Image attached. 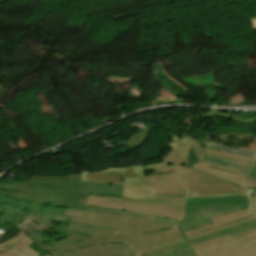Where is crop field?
Listing matches in <instances>:
<instances>
[{
  "label": "crop field",
  "instance_id": "crop-field-1",
  "mask_svg": "<svg viewBox=\"0 0 256 256\" xmlns=\"http://www.w3.org/2000/svg\"><path fill=\"white\" fill-rule=\"evenodd\" d=\"M72 216L67 233L55 242L39 243L44 250L123 241L134 256L185 241L178 227L121 215L65 208Z\"/></svg>",
  "mask_w": 256,
  "mask_h": 256
},
{
  "label": "crop field",
  "instance_id": "crop-field-2",
  "mask_svg": "<svg viewBox=\"0 0 256 256\" xmlns=\"http://www.w3.org/2000/svg\"><path fill=\"white\" fill-rule=\"evenodd\" d=\"M122 187L123 186L85 183V182H77V181H70V180H40V181H33L31 183V190L56 192L53 204L48 203L47 205L109 212V213L148 219V220L171 224L175 226L179 225L180 223L179 221L162 219V218L141 215V214L126 212V211L101 209L97 207L85 206L88 194L120 197Z\"/></svg>",
  "mask_w": 256,
  "mask_h": 256
},
{
  "label": "crop field",
  "instance_id": "crop-field-3",
  "mask_svg": "<svg viewBox=\"0 0 256 256\" xmlns=\"http://www.w3.org/2000/svg\"><path fill=\"white\" fill-rule=\"evenodd\" d=\"M79 173L81 181L124 185L121 197L154 202L155 188L147 179L142 165L102 168Z\"/></svg>",
  "mask_w": 256,
  "mask_h": 256
},
{
  "label": "crop field",
  "instance_id": "crop-field-4",
  "mask_svg": "<svg viewBox=\"0 0 256 256\" xmlns=\"http://www.w3.org/2000/svg\"><path fill=\"white\" fill-rule=\"evenodd\" d=\"M185 200L184 197L155 195V203H149L124 198L89 195L86 205L126 210L182 221L185 218Z\"/></svg>",
  "mask_w": 256,
  "mask_h": 256
},
{
  "label": "crop field",
  "instance_id": "crop-field-5",
  "mask_svg": "<svg viewBox=\"0 0 256 256\" xmlns=\"http://www.w3.org/2000/svg\"><path fill=\"white\" fill-rule=\"evenodd\" d=\"M248 206L247 195L187 198L186 218L178 227L183 232L208 225L210 224L208 217L247 208Z\"/></svg>",
  "mask_w": 256,
  "mask_h": 256
},
{
  "label": "crop field",
  "instance_id": "crop-field-6",
  "mask_svg": "<svg viewBox=\"0 0 256 256\" xmlns=\"http://www.w3.org/2000/svg\"><path fill=\"white\" fill-rule=\"evenodd\" d=\"M190 247L196 256H256V228L230 238L225 235Z\"/></svg>",
  "mask_w": 256,
  "mask_h": 256
},
{
  "label": "crop field",
  "instance_id": "crop-field-7",
  "mask_svg": "<svg viewBox=\"0 0 256 256\" xmlns=\"http://www.w3.org/2000/svg\"><path fill=\"white\" fill-rule=\"evenodd\" d=\"M60 210L45 208L41 213L37 212L27 216L15 224L19 226L35 243L59 240L70 236L65 234L67 226L63 219L67 216H59Z\"/></svg>",
  "mask_w": 256,
  "mask_h": 256
},
{
  "label": "crop field",
  "instance_id": "crop-field-8",
  "mask_svg": "<svg viewBox=\"0 0 256 256\" xmlns=\"http://www.w3.org/2000/svg\"><path fill=\"white\" fill-rule=\"evenodd\" d=\"M193 138L172 132L166 152L158 159L143 163L146 174L170 172L187 166Z\"/></svg>",
  "mask_w": 256,
  "mask_h": 256
},
{
  "label": "crop field",
  "instance_id": "crop-field-9",
  "mask_svg": "<svg viewBox=\"0 0 256 256\" xmlns=\"http://www.w3.org/2000/svg\"><path fill=\"white\" fill-rule=\"evenodd\" d=\"M184 184L186 196L244 194V190L188 169L179 172Z\"/></svg>",
  "mask_w": 256,
  "mask_h": 256
},
{
  "label": "crop field",
  "instance_id": "crop-field-10",
  "mask_svg": "<svg viewBox=\"0 0 256 256\" xmlns=\"http://www.w3.org/2000/svg\"><path fill=\"white\" fill-rule=\"evenodd\" d=\"M256 218L254 213L248 209L239 210L233 213L216 216L209 218L211 221V225L203 226L200 228H196L190 231L183 232L182 234L186 238V240L195 238L201 235H205L211 232H215L251 219Z\"/></svg>",
  "mask_w": 256,
  "mask_h": 256
},
{
  "label": "crop field",
  "instance_id": "crop-field-11",
  "mask_svg": "<svg viewBox=\"0 0 256 256\" xmlns=\"http://www.w3.org/2000/svg\"><path fill=\"white\" fill-rule=\"evenodd\" d=\"M40 179H70V180H77L80 181L79 175H72V176H59V177H47V178H40L36 175L32 176V180L19 185L18 183L5 186L3 185L4 189H9L10 193L2 192L0 190V194L7 195L23 200H27L33 203H46V202H53L54 194L50 192H37V191H30V183L33 180H40Z\"/></svg>",
  "mask_w": 256,
  "mask_h": 256
},
{
  "label": "crop field",
  "instance_id": "crop-field-12",
  "mask_svg": "<svg viewBox=\"0 0 256 256\" xmlns=\"http://www.w3.org/2000/svg\"><path fill=\"white\" fill-rule=\"evenodd\" d=\"M48 254L51 256H132L122 242L98 246L50 250Z\"/></svg>",
  "mask_w": 256,
  "mask_h": 256
},
{
  "label": "crop field",
  "instance_id": "crop-field-13",
  "mask_svg": "<svg viewBox=\"0 0 256 256\" xmlns=\"http://www.w3.org/2000/svg\"><path fill=\"white\" fill-rule=\"evenodd\" d=\"M156 188L155 194L166 196H185L184 184L177 171L148 175Z\"/></svg>",
  "mask_w": 256,
  "mask_h": 256
},
{
  "label": "crop field",
  "instance_id": "crop-field-14",
  "mask_svg": "<svg viewBox=\"0 0 256 256\" xmlns=\"http://www.w3.org/2000/svg\"><path fill=\"white\" fill-rule=\"evenodd\" d=\"M0 202L3 204L1 209L8 210L5 217L6 222H15L24 216L37 212L42 208V205H37L2 195H0Z\"/></svg>",
  "mask_w": 256,
  "mask_h": 256
},
{
  "label": "crop field",
  "instance_id": "crop-field-15",
  "mask_svg": "<svg viewBox=\"0 0 256 256\" xmlns=\"http://www.w3.org/2000/svg\"><path fill=\"white\" fill-rule=\"evenodd\" d=\"M192 148L194 149L192 151L193 154L198 159V161H200L199 164H193L192 165L193 168L201 170V171H203L205 173H208V174H210L212 176H215L217 178H220L222 180H225L227 182H230L232 184H235L237 186L242 187V181L244 179V176H240V175H237V174H232V173L224 172V171L218 170L216 168L206 167V166L201 165L202 160L204 159V157L206 155H205L204 151L201 149L198 141L195 140V139L193 141Z\"/></svg>",
  "mask_w": 256,
  "mask_h": 256
},
{
  "label": "crop field",
  "instance_id": "crop-field-16",
  "mask_svg": "<svg viewBox=\"0 0 256 256\" xmlns=\"http://www.w3.org/2000/svg\"><path fill=\"white\" fill-rule=\"evenodd\" d=\"M235 136L241 145L239 149L256 152V134L239 135V134H214L206 133L204 141L212 142L221 146L227 145L229 136Z\"/></svg>",
  "mask_w": 256,
  "mask_h": 256
},
{
  "label": "crop field",
  "instance_id": "crop-field-17",
  "mask_svg": "<svg viewBox=\"0 0 256 256\" xmlns=\"http://www.w3.org/2000/svg\"><path fill=\"white\" fill-rule=\"evenodd\" d=\"M255 227H256V219L245 222V223H242V224H239V225H236V226H233V227H230V228H227V229H224V230H221V231H218V232H215V233H211V234H208V235H205V236H201V237H198V238H195V239L188 240V243H189V245H191V244H194V243H197V242H201V241L211 239V238H214V237H218V236H221V235H225V234H227L228 237H230V236H233L235 234L244 232L246 230H249V229H252V228H255Z\"/></svg>",
  "mask_w": 256,
  "mask_h": 256
},
{
  "label": "crop field",
  "instance_id": "crop-field-18",
  "mask_svg": "<svg viewBox=\"0 0 256 256\" xmlns=\"http://www.w3.org/2000/svg\"><path fill=\"white\" fill-rule=\"evenodd\" d=\"M33 240L27 236L10 249L4 251L0 256H39L32 248H27Z\"/></svg>",
  "mask_w": 256,
  "mask_h": 256
},
{
  "label": "crop field",
  "instance_id": "crop-field-19",
  "mask_svg": "<svg viewBox=\"0 0 256 256\" xmlns=\"http://www.w3.org/2000/svg\"><path fill=\"white\" fill-rule=\"evenodd\" d=\"M147 256H195L187 241L156 251Z\"/></svg>",
  "mask_w": 256,
  "mask_h": 256
},
{
  "label": "crop field",
  "instance_id": "crop-field-20",
  "mask_svg": "<svg viewBox=\"0 0 256 256\" xmlns=\"http://www.w3.org/2000/svg\"><path fill=\"white\" fill-rule=\"evenodd\" d=\"M203 149H204L206 155L233 161V162H237V163H241V164H245V165H249V166H251L254 161L253 158L234 155V154H230V153L219 152V151L208 149V148H203Z\"/></svg>",
  "mask_w": 256,
  "mask_h": 256
},
{
  "label": "crop field",
  "instance_id": "crop-field-21",
  "mask_svg": "<svg viewBox=\"0 0 256 256\" xmlns=\"http://www.w3.org/2000/svg\"><path fill=\"white\" fill-rule=\"evenodd\" d=\"M204 161L219 164V165L233 168V169L243 171L246 173H248V171L250 169L249 166H245V165H241V164H237V163H233V162H229V161H225V160H221V159H217V158H213V157H209V156H206Z\"/></svg>",
  "mask_w": 256,
  "mask_h": 256
},
{
  "label": "crop field",
  "instance_id": "crop-field-22",
  "mask_svg": "<svg viewBox=\"0 0 256 256\" xmlns=\"http://www.w3.org/2000/svg\"><path fill=\"white\" fill-rule=\"evenodd\" d=\"M24 237H26V234L23 231H21L16 236H14L13 238H11V239H9L5 242L0 243V253L3 252L4 250L10 248L12 245L17 243L18 241H20Z\"/></svg>",
  "mask_w": 256,
  "mask_h": 256
},
{
  "label": "crop field",
  "instance_id": "crop-field-23",
  "mask_svg": "<svg viewBox=\"0 0 256 256\" xmlns=\"http://www.w3.org/2000/svg\"><path fill=\"white\" fill-rule=\"evenodd\" d=\"M208 147L212 148V149L220 150V151H225V152H230V153H234V154H239V155H244V156L256 158V154L255 153L242 152V151L227 149V148H223V147H219V146H214V145H210V144L208 145Z\"/></svg>",
  "mask_w": 256,
  "mask_h": 256
},
{
  "label": "crop field",
  "instance_id": "crop-field-24",
  "mask_svg": "<svg viewBox=\"0 0 256 256\" xmlns=\"http://www.w3.org/2000/svg\"><path fill=\"white\" fill-rule=\"evenodd\" d=\"M203 165L213 166V167L219 168V169L224 170V171L233 172V173H237V174H241V175L246 176V173H242V172H239V171H236V170H232V169L222 167V166H219V165H215V164H211V163H208V162L203 161Z\"/></svg>",
  "mask_w": 256,
  "mask_h": 256
},
{
  "label": "crop field",
  "instance_id": "crop-field-25",
  "mask_svg": "<svg viewBox=\"0 0 256 256\" xmlns=\"http://www.w3.org/2000/svg\"><path fill=\"white\" fill-rule=\"evenodd\" d=\"M246 180L252 181L253 183L256 184V168H252L250 173L248 174Z\"/></svg>",
  "mask_w": 256,
  "mask_h": 256
},
{
  "label": "crop field",
  "instance_id": "crop-field-26",
  "mask_svg": "<svg viewBox=\"0 0 256 256\" xmlns=\"http://www.w3.org/2000/svg\"><path fill=\"white\" fill-rule=\"evenodd\" d=\"M250 198V204H251V209L254 211L256 209V195H249ZM256 213V211H254Z\"/></svg>",
  "mask_w": 256,
  "mask_h": 256
},
{
  "label": "crop field",
  "instance_id": "crop-field-27",
  "mask_svg": "<svg viewBox=\"0 0 256 256\" xmlns=\"http://www.w3.org/2000/svg\"><path fill=\"white\" fill-rule=\"evenodd\" d=\"M250 187H256V185H254L251 182L244 181V188H250Z\"/></svg>",
  "mask_w": 256,
  "mask_h": 256
},
{
  "label": "crop field",
  "instance_id": "crop-field-28",
  "mask_svg": "<svg viewBox=\"0 0 256 256\" xmlns=\"http://www.w3.org/2000/svg\"><path fill=\"white\" fill-rule=\"evenodd\" d=\"M249 20H250V22H251L253 28L256 29V18H251V19H249Z\"/></svg>",
  "mask_w": 256,
  "mask_h": 256
},
{
  "label": "crop field",
  "instance_id": "crop-field-29",
  "mask_svg": "<svg viewBox=\"0 0 256 256\" xmlns=\"http://www.w3.org/2000/svg\"><path fill=\"white\" fill-rule=\"evenodd\" d=\"M1 210V209H0ZM5 213L6 214V210H1V212L0 213ZM5 214L2 216V218H1V223L3 224V222H4V216H5Z\"/></svg>",
  "mask_w": 256,
  "mask_h": 256
},
{
  "label": "crop field",
  "instance_id": "crop-field-30",
  "mask_svg": "<svg viewBox=\"0 0 256 256\" xmlns=\"http://www.w3.org/2000/svg\"><path fill=\"white\" fill-rule=\"evenodd\" d=\"M44 256H49V255L46 254V255H44Z\"/></svg>",
  "mask_w": 256,
  "mask_h": 256
},
{
  "label": "crop field",
  "instance_id": "crop-field-31",
  "mask_svg": "<svg viewBox=\"0 0 256 256\" xmlns=\"http://www.w3.org/2000/svg\"><path fill=\"white\" fill-rule=\"evenodd\" d=\"M254 165H256V162H255V164Z\"/></svg>",
  "mask_w": 256,
  "mask_h": 256
},
{
  "label": "crop field",
  "instance_id": "crop-field-32",
  "mask_svg": "<svg viewBox=\"0 0 256 256\" xmlns=\"http://www.w3.org/2000/svg\"><path fill=\"white\" fill-rule=\"evenodd\" d=\"M256 167V166H255Z\"/></svg>",
  "mask_w": 256,
  "mask_h": 256
}]
</instances>
